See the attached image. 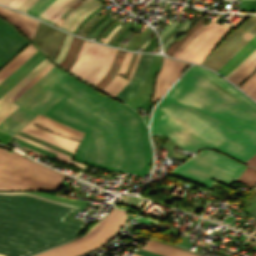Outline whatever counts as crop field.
Listing matches in <instances>:
<instances>
[{"label":"crop field","instance_id":"15","mask_svg":"<svg viewBox=\"0 0 256 256\" xmlns=\"http://www.w3.org/2000/svg\"><path fill=\"white\" fill-rule=\"evenodd\" d=\"M50 62L45 58L40 62L33 70H31L23 79H21L14 87H12L5 95L0 98V122L12 113L18 106L6 101L16 91H18L24 84H26L31 78H33L38 72H40Z\"/></svg>","mask_w":256,"mask_h":256},{"label":"crop field","instance_id":"26","mask_svg":"<svg viewBox=\"0 0 256 256\" xmlns=\"http://www.w3.org/2000/svg\"><path fill=\"white\" fill-rule=\"evenodd\" d=\"M84 40L73 37L64 59L59 65L69 70Z\"/></svg>","mask_w":256,"mask_h":256},{"label":"crop field","instance_id":"51","mask_svg":"<svg viewBox=\"0 0 256 256\" xmlns=\"http://www.w3.org/2000/svg\"><path fill=\"white\" fill-rule=\"evenodd\" d=\"M12 0H0L1 4H5L7 5L9 2H11Z\"/></svg>","mask_w":256,"mask_h":256},{"label":"crop field","instance_id":"10","mask_svg":"<svg viewBox=\"0 0 256 256\" xmlns=\"http://www.w3.org/2000/svg\"><path fill=\"white\" fill-rule=\"evenodd\" d=\"M228 30L229 28L215 22L181 58L200 63Z\"/></svg>","mask_w":256,"mask_h":256},{"label":"crop field","instance_id":"55","mask_svg":"<svg viewBox=\"0 0 256 256\" xmlns=\"http://www.w3.org/2000/svg\"><path fill=\"white\" fill-rule=\"evenodd\" d=\"M56 56V55H55Z\"/></svg>","mask_w":256,"mask_h":256},{"label":"crop field","instance_id":"20","mask_svg":"<svg viewBox=\"0 0 256 256\" xmlns=\"http://www.w3.org/2000/svg\"><path fill=\"white\" fill-rule=\"evenodd\" d=\"M35 115V113L19 107L0 123V128L16 133Z\"/></svg>","mask_w":256,"mask_h":256},{"label":"crop field","instance_id":"46","mask_svg":"<svg viewBox=\"0 0 256 256\" xmlns=\"http://www.w3.org/2000/svg\"><path fill=\"white\" fill-rule=\"evenodd\" d=\"M136 55H137V54H132V58H131L130 64H129V66H128L127 70H126V73H125V76H126V77H128V75H129V72H130V70H131V67H132V65H133V62H134V60H135Z\"/></svg>","mask_w":256,"mask_h":256},{"label":"crop field","instance_id":"24","mask_svg":"<svg viewBox=\"0 0 256 256\" xmlns=\"http://www.w3.org/2000/svg\"><path fill=\"white\" fill-rule=\"evenodd\" d=\"M36 51L37 50L29 44L17 56H15L8 64H6L0 70V83Z\"/></svg>","mask_w":256,"mask_h":256},{"label":"crop field","instance_id":"43","mask_svg":"<svg viewBox=\"0 0 256 256\" xmlns=\"http://www.w3.org/2000/svg\"><path fill=\"white\" fill-rule=\"evenodd\" d=\"M100 18L94 19L87 27L86 29L82 32L81 36H85V34L90 30V28L99 20Z\"/></svg>","mask_w":256,"mask_h":256},{"label":"crop field","instance_id":"52","mask_svg":"<svg viewBox=\"0 0 256 256\" xmlns=\"http://www.w3.org/2000/svg\"><path fill=\"white\" fill-rule=\"evenodd\" d=\"M104 39L103 38H101V41H103Z\"/></svg>","mask_w":256,"mask_h":256},{"label":"crop field","instance_id":"50","mask_svg":"<svg viewBox=\"0 0 256 256\" xmlns=\"http://www.w3.org/2000/svg\"><path fill=\"white\" fill-rule=\"evenodd\" d=\"M249 214L256 217V206L249 212Z\"/></svg>","mask_w":256,"mask_h":256},{"label":"crop field","instance_id":"5","mask_svg":"<svg viewBox=\"0 0 256 256\" xmlns=\"http://www.w3.org/2000/svg\"><path fill=\"white\" fill-rule=\"evenodd\" d=\"M0 160L15 164L40 176L37 178L38 176L15 165L0 161V186L27 185L37 178L27 186L0 187V189H30L56 192L64 177L62 174L46 169L3 148H0Z\"/></svg>","mask_w":256,"mask_h":256},{"label":"crop field","instance_id":"48","mask_svg":"<svg viewBox=\"0 0 256 256\" xmlns=\"http://www.w3.org/2000/svg\"><path fill=\"white\" fill-rule=\"evenodd\" d=\"M121 24V23H120ZM117 25L113 30L112 32L106 37V39L103 41V43H106L108 41V39L114 34V32L119 28L121 27V25Z\"/></svg>","mask_w":256,"mask_h":256},{"label":"crop field","instance_id":"1","mask_svg":"<svg viewBox=\"0 0 256 256\" xmlns=\"http://www.w3.org/2000/svg\"><path fill=\"white\" fill-rule=\"evenodd\" d=\"M151 136H167L192 152L214 148L244 163L256 153V104L194 66L155 108Z\"/></svg>","mask_w":256,"mask_h":256},{"label":"crop field","instance_id":"42","mask_svg":"<svg viewBox=\"0 0 256 256\" xmlns=\"http://www.w3.org/2000/svg\"><path fill=\"white\" fill-rule=\"evenodd\" d=\"M114 17H109L108 19H106L93 33H92V35L89 37V39L90 38H92L93 36L95 37L96 36V34L106 25V23L108 22V21H110L111 19H113Z\"/></svg>","mask_w":256,"mask_h":256},{"label":"crop field","instance_id":"18","mask_svg":"<svg viewBox=\"0 0 256 256\" xmlns=\"http://www.w3.org/2000/svg\"><path fill=\"white\" fill-rule=\"evenodd\" d=\"M0 15L17 26L31 39L34 35L38 21L18 12L0 6Z\"/></svg>","mask_w":256,"mask_h":256},{"label":"crop field","instance_id":"13","mask_svg":"<svg viewBox=\"0 0 256 256\" xmlns=\"http://www.w3.org/2000/svg\"><path fill=\"white\" fill-rule=\"evenodd\" d=\"M154 55L142 54L130 81L114 96L126 101L142 83Z\"/></svg>","mask_w":256,"mask_h":256},{"label":"crop field","instance_id":"41","mask_svg":"<svg viewBox=\"0 0 256 256\" xmlns=\"http://www.w3.org/2000/svg\"><path fill=\"white\" fill-rule=\"evenodd\" d=\"M36 0H26L24 3H22L17 10L24 12L32 3H34Z\"/></svg>","mask_w":256,"mask_h":256},{"label":"crop field","instance_id":"7","mask_svg":"<svg viewBox=\"0 0 256 256\" xmlns=\"http://www.w3.org/2000/svg\"><path fill=\"white\" fill-rule=\"evenodd\" d=\"M116 51L85 40L69 71L95 85L105 76Z\"/></svg>","mask_w":256,"mask_h":256},{"label":"crop field","instance_id":"8","mask_svg":"<svg viewBox=\"0 0 256 256\" xmlns=\"http://www.w3.org/2000/svg\"><path fill=\"white\" fill-rule=\"evenodd\" d=\"M63 74H65V72L54 66L18 99H16L14 103L43 115L48 108L63 97V95L48 88Z\"/></svg>","mask_w":256,"mask_h":256},{"label":"crop field","instance_id":"11","mask_svg":"<svg viewBox=\"0 0 256 256\" xmlns=\"http://www.w3.org/2000/svg\"><path fill=\"white\" fill-rule=\"evenodd\" d=\"M28 42L0 20V67Z\"/></svg>","mask_w":256,"mask_h":256},{"label":"crop field","instance_id":"49","mask_svg":"<svg viewBox=\"0 0 256 256\" xmlns=\"http://www.w3.org/2000/svg\"><path fill=\"white\" fill-rule=\"evenodd\" d=\"M23 148H25V149H27V150H29V151H31V152H33V153L39 155V156L48 157V156H45V155H43V154H40V153H38V152H36V151H33V150H31V149H28V148H26V147H24V146H23ZM48 158H50V157H48ZM51 159H52V158H51ZM53 160H54V159H53Z\"/></svg>","mask_w":256,"mask_h":256},{"label":"crop field","instance_id":"35","mask_svg":"<svg viewBox=\"0 0 256 256\" xmlns=\"http://www.w3.org/2000/svg\"><path fill=\"white\" fill-rule=\"evenodd\" d=\"M71 35H68L66 36L65 40H64V43L61 47V50L58 54V56L56 57V59L54 60L56 63L59 64V62L62 60V58L64 57L65 53H66V50H67V47L69 45V42H70V39H71Z\"/></svg>","mask_w":256,"mask_h":256},{"label":"crop field","instance_id":"38","mask_svg":"<svg viewBox=\"0 0 256 256\" xmlns=\"http://www.w3.org/2000/svg\"><path fill=\"white\" fill-rule=\"evenodd\" d=\"M206 25H202L191 37L188 38V40L177 50V52L173 55L174 57L177 56V54L182 50V48L189 43Z\"/></svg>","mask_w":256,"mask_h":256},{"label":"crop field","instance_id":"45","mask_svg":"<svg viewBox=\"0 0 256 256\" xmlns=\"http://www.w3.org/2000/svg\"><path fill=\"white\" fill-rule=\"evenodd\" d=\"M155 39H157V37L153 38L143 51H150L157 43Z\"/></svg>","mask_w":256,"mask_h":256},{"label":"crop field","instance_id":"22","mask_svg":"<svg viewBox=\"0 0 256 256\" xmlns=\"http://www.w3.org/2000/svg\"><path fill=\"white\" fill-rule=\"evenodd\" d=\"M77 1L78 0H55L39 18L53 25L62 13Z\"/></svg>","mask_w":256,"mask_h":256},{"label":"crop field","instance_id":"32","mask_svg":"<svg viewBox=\"0 0 256 256\" xmlns=\"http://www.w3.org/2000/svg\"><path fill=\"white\" fill-rule=\"evenodd\" d=\"M239 88L256 100V72Z\"/></svg>","mask_w":256,"mask_h":256},{"label":"crop field","instance_id":"17","mask_svg":"<svg viewBox=\"0 0 256 256\" xmlns=\"http://www.w3.org/2000/svg\"><path fill=\"white\" fill-rule=\"evenodd\" d=\"M102 5L98 0H86L74 9L59 26L72 33L77 24L91 11Z\"/></svg>","mask_w":256,"mask_h":256},{"label":"crop field","instance_id":"44","mask_svg":"<svg viewBox=\"0 0 256 256\" xmlns=\"http://www.w3.org/2000/svg\"><path fill=\"white\" fill-rule=\"evenodd\" d=\"M24 1L25 0H13L11 3L8 4V6L16 9Z\"/></svg>","mask_w":256,"mask_h":256},{"label":"crop field","instance_id":"29","mask_svg":"<svg viewBox=\"0 0 256 256\" xmlns=\"http://www.w3.org/2000/svg\"><path fill=\"white\" fill-rule=\"evenodd\" d=\"M15 136L18 137V138H20V139H23V140H25V141H27V142H30V143H32V144H34V145H37V146H39V147H41V148H44V149H46V150H48V151H51V152L57 154L55 158L58 159V160H61V161H63V162H66V163H68V164H71V165H74V166H77V167H80V168H83V169H85V167H86V165H83V164H81V163H78V162H75V161L70 160L71 157H69V156H67V155H64V154H62V153H60V152H57V151H55V150H53V149H50V148H48V147H46V146H43V145H41V144H39V143H36V142H34V141H32V140H29V139H27V138H25V137H22V136L18 135V134H16Z\"/></svg>","mask_w":256,"mask_h":256},{"label":"crop field","instance_id":"6","mask_svg":"<svg viewBox=\"0 0 256 256\" xmlns=\"http://www.w3.org/2000/svg\"><path fill=\"white\" fill-rule=\"evenodd\" d=\"M126 219L125 211L112 208L110 213L95 223L84 236L36 256H80L88 253L113 238Z\"/></svg>","mask_w":256,"mask_h":256},{"label":"crop field","instance_id":"21","mask_svg":"<svg viewBox=\"0 0 256 256\" xmlns=\"http://www.w3.org/2000/svg\"><path fill=\"white\" fill-rule=\"evenodd\" d=\"M131 54L132 53H126V55L124 57V60L122 62V65H121V67L118 71L119 74H122V75L124 74V72L127 68V65L130 61ZM140 55L141 54L137 55L136 60L134 62V65L132 67V70L130 72V75H129L128 79H130ZM127 82H128L127 80H125V79L116 75L114 77V79L102 91L114 96Z\"/></svg>","mask_w":256,"mask_h":256},{"label":"crop field","instance_id":"30","mask_svg":"<svg viewBox=\"0 0 256 256\" xmlns=\"http://www.w3.org/2000/svg\"><path fill=\"white\" fill-rule=\"evenodd\" d=\"M237 181L252 188L256 184V170L247 166Z\"/></svg>","mask_w":256,"mask_h":256},{"label":"crop field","instance_id":"36","mask_svg":"<svg viewBox=\"0 0 256 256\" xmlns=\"http://www.w3.org/2000/svg\"><path fill=\"white\" fill-rule=\"evenodd\" d=\"M219 16L218 15H216L215 16V18L208 24V26L205 28V29H203L189 44H187L184 48H183V50L178 54V58H180L182 55H183V53L193 44V42L205 31V30H207L211 25H212V23L218 18Z\"/></svg>","mask_w":256,"mask_h":256},{"label":"crop field","instance_id":"4","mask_svg":"<svg viewBox=\"0 0 256 256\" xmlns=\"http://www.w3.org/2000/svg\"><path fill=\"white\" fill-rule=\"evenodd\" d=\"M246 165L208 149H201L193 158L175 168L171 175L194 181L210 189L212 178L230 186Z\"/></svg>","mask_w":256,"mask_h":256},{"label":"crop field","instance_id":"9","mask_svg":"<svg viewBox=\"0 0 256 256\" xmlns=\"http://www.w3.org/2000/svg\"><path fill=\"white\" fill-rule=\"evenodd\" d=\"M256 35V16L251 15L227 39H225L201 64L218 70L253 36Z\"/></svg>","mask_w":256,"mask_h":256},{"label":"crop field","instance_id":"33","mask_svg":"<svg viewBox=\"0 0 256 256\" xmlns=\"http://www.w3.org/2000/svg\"><path fill=\"white\" fill-rule=\"evenodd\" d=\"M54 65L51 63L45 67L39 74H37L30 82H28L21 90H19L13 97L9 99V101L13 102L16 98H18L24 91H26L33 83H35L41 76H43L49 69H51Z\"/></svg>","mask_w":256,"mask_h":256},{"label":"crop field","instance_id":"47","mask_svg":"<svg viewBox=\"0 0 256 256\" xmlns=\"http://www.w3.org/2000/svg\"><path fill=\"white\" fill-rule=\"evenodd\" d=\"M245 164L256 167V154L252 158H250L247 162H245Z\"/></svg>","mask_w":256,"mask_h":256},{"label":"crop field","instance_id":"16","mask_svg":"<svg viewBox=\"0 0 256 256\" xmlns=\"http://www.w3.org/2000/svg\"><path fill=\"white\" fill-rule=\"evenodd\" d=\"M40 55L41 54L37 51L0 84V97L44 59V57Z\"/></svg>","mask_w":256,"mask_h":256},{"label":"crop field","instance_id":"28","mask_svg":"<svg viewBox=\"0 0 256 256\" xmlns=\"http://www.w3.org/2000/svg\"><path fill=\"white\" fill-rule=\"evenodd\" d=\"M206 20L204 19H198V21L195 23V25L190 28L181 38H179L175 43H173L166 51L167 54L173 55L176 50L187 40V38L196 31ZM168 55V56H169Z\"/></svg>","mask_w":256,"mask_h":256},{"label":"crop field","instance_id":"27","mask_svg":"<svg viewBox=\"0 0 256 256\" xmlns=\"http://www.w3.org/2000/svg\"><path fill=\"white\" fill-rule=\"evenodd\" d=\"M254 69H256V54L247 61L235 74L228 80L236 86L244 80Z\"/></svg>","mask_w":256,"mask_h":256},{"label":"crop field","instance_id":"12","mask_svg":"<svg viewBox=\"0 0 256 256\" xmlns=\"http://www.w3.org/2000/svg\"><path fill=\"white\" fill-rule=\"evenodd\" d=\"M186 65L187 63L164 57L161 71L159 70L160 73L156 80L155 94L152 102L158 99L163 94V92L175 81V79L180 75Z\"/></svg>","mask_w":256,"mask_h":256},{"label":"crop field","instance_id":"23","mask_svg":"<svg viewBox=\"0 0 256 256\" xmlns=\"http://www.w3.org/2000/svg\"><path fill=\"white\" fill-rule=\"evenodd\" d=\"M256 48V36L253 37L240 51H238L225 65L217 72L224 77L232 71L244 58Z\"/></svg>","mask_w":256,"mask_h":256},{"label":"crop field","instance_id":"19","mask_svg":"<svg viewBox=\"0 0 256 256\" xmlns=\"http://www.w3.org/2000/svg\"><path fill=\"white\" fill-rule=\"evenodd\" d=\"M46 25H44V24H40V26H39V29H38V32H37V34H36V36H35V39H34V43L36 44V46L37 47H39V45H40V42H41V40H42V37H43V34H44V32H45V29H46ZM38 28V27H37ZM52 28H50V27H47V29H46V32H45V34H44V37H43V40H42V42H41V45H40V47H39V49H41V50H43L44 51V49H45V47H46V44H47V42H48V40H49V38H50V36H51V33H52ZM55 30V29H54ZM54 30H53V33H54ZM37 31V30H36ZM36 33V32H35ZM53 33H52V36H53ZM52 36H51V38H52ZM61 36H62V32H60V31H58V30H55V33H54V36H53V38H52V40H51V38H50V40H51V42H50V40H49V42H50V44H49V42H48V44H49V47H48V44H47V47H48V51H47V55L48 56H50L51 58H53V56H54V53H55V50H56V48H57V45H58V43H59V41H60V39H61ZM34 38V37H33ZM33 40V39H32ZM61 42V41H60ZM47 47H46V49H45V51L44 52H46V50H47ZM58 49V48H57ZM57 51V50H56Z\"/></svg>","mask_w":256,"mask_h":256},{"label":"crop field","instance_id":"34","mask_svg":"<svg viewBox=\"0 0 256 256\" xmlns=\"http://www.w3.org/2000/svg\"><path fill=\"white\" fill-rule=\"evenodd\" d=\"M192 22H186L182 27H180L169 39H167L163 44H162V50L164 51L166 47L173 42L177 35L182 33Z\"/></svg>","mask_w":256,"mask_h":256},{"label":"crop field","instance_id":"2","mask_svg":"<svg viewBox=\"0 0 256 256\" xmlns=\"http://www.w3.org/2000/svg\"><path fill=\"white\" fill-rule=\"evenodd\" d=\"M50 88L65 96L44 116L85 132L75 160L141 177L147 173L151 150L137 114L67 73Z\"/></svg>","mask_w":256,"mask_h":256},{"label":"crop field","instance_id":"31","mask_svg":"<svg viewBox=\"0 0 256 256\" xmlns=\"http://www.w3.org/2000/svg\"><path fill=\"white\" fill-rule=\"evenodd\" d=\"M52 1L53 0H37L25 12L37 18Z\"/></svg>","mask_w":256,"mask_h":256},{"label":"crop field","instance_id":"37","mask_svg":"<svg viewBox=\"0 0 256 256\" xmlns=\"http://www.w3.org/2000/svg\"><path fill=\"white\" fill-rule=\"evenodd\" d=\"M178 24L179 23L177 21H173L170 25H168L163 31L159 33L160 39L167 35Z\"/></svg>","mask_w":256,"mask_h":256},{"label":"crop field","instance_id":"53","mask_svg":"<svg viewBox=\"0 0 256 256\" xmlns=\"http://www.w3.org/2000/svg\"><path fill=\"white\" fill-rule=\"evenodd\" d=\"M133 256H138V255L134 254Z\"/></svg>","mask_w":256,"mask_h":256},{"label":"crop field","instance_id":"39","mask_svg":"<svg viewBox=\"0 0 256 256\" xmlns=\"http://www.w3.org/2000/svg\"><path fill=\"white\" fill-rule=\"evenodd\" d=\"M256 53V49L246 58L244 59L232 72H230L225 78H229L233 73H235L247 60H249Z\"/></svg>","mask_w":256,"mask_h":256},{"label":"crop field","instance_id":"40","mask_svg":"<svg viewBox=\"0 0 256 256\" xmlns=\"http://www.w3.org/2000/svg\"><path fill=\"white\" fill-rule=\"evenodd\" d=\"M136 254L140 255V256H162L156 253H152L143 249L138 248V250L136 251Z\"/></svg>","mask_w":256,"mask_h":256},{"label":"crop field","instance_id":"25","mask_svg":"<svg viewBox=\"0 0 256 256\" xmlns=\"http://www.w3.org/2000/svg\"><path fill=\"white\" fill-rule=\"evenodd\" d=\"M125 53L126 52L124 51H120V50L117 51L106 76L100 82H98L95 86H97L99 89L102 90L113 79V77L115 76V74L117 73L120 67V64L123 60Z\"/></svg>","mask_w":256,"mask_h":256},{"label":"crop field","instance_id":"54","mask_svg":"<svg viewBox=\"0 0 256 256\" xmlns=\"http://www.w3.org/2000/svg\"><path fill=\"white\" fill-rule=\"evenodd\" d=\"M0 256H4V255L0 254Z\"/></svg>","mask_w":256,"mask_h":256},{"label":"crop field","instance_id":"14","mask_svg":"<svg viewBox=\"0 0 256 256\" xmlns=\"http://www.w3.org/2000/svg\"><path fill=\"white\" fill-rule=\"evenodd\" d=\"M21 131L28 133L30 135H33L42 140H45L54 145H57L66 150H69L73 153L75 152L77 145L79 143L78 141H75V140H72V139L51 133V132H47V131H45L39 127H36L34 125H31L29 123L25 127H23L21 129Z\"/></svg>","mask_w":256,"mask_h":256},{"label":"crop field","instance_id":"3","mask_svg":"<svg viewBox=\"0 0 256 256\" xmlns=\"http://www.w3.org/2000/svg\"><path fill=\"white\" fill-rule=\"evenodd\" d=\"M26 194H0L1 253L27 256L75 237L88 225L66 219L79 206Z\"/></svg>","mask_w":256,"mask_h":256}]
</instances>
